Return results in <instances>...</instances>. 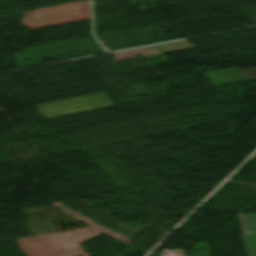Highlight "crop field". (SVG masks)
<instances>
[{
  "label": "crop field",
  "instance_id": "1",
  "mask_svg": "<svg viewBox=\"0 0 256 256\" xmlns=\"http://www.w3.org/2000/svg\"><path fill=\"white\" fill-rule=\"evenodd\" d=\"M241 230L249 232L242 235L246 256H256V214L238 215Z\"/></svg>",
  "mask_w": 256,
  "mask_h": 256
}]
</instances>
